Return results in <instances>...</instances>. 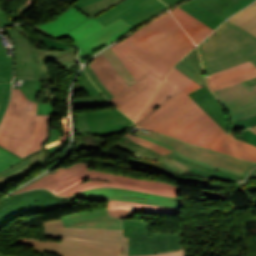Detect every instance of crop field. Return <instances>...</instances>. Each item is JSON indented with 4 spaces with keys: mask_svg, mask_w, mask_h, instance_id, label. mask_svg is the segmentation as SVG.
Returning a JSON list of instances; mask_svg holds the SVG:
<instances>
[{
    "mask_svg": "<svg viewBox=\"0 0 256 256\" xmlns=\"http://www.w3.org/2000/svg\"><path fill=\"white\" fill-rule=\"evenodd\" d=\"M167 79L178 85L175 92L138 124L209 148L224 131L187 95L201 86L175 67Z\"/></svg>",
    "mask_w": 256,
    "mask_h": 256,
    "instance_id": "8a807250",
    "label": "crop field"
},
{
    "mask_svg": "<svg viewBox=\"0 0 256 256\" xmlns=\"http://www.w3.org/2000/svg\"><path fill=\"white\" fill-rule=\"evenodd\" d=\"M96 187L125 188L171 197H178L180 192V187L176 185L92 171L89 170V164L78 163L67 169L60 167L15 193L33 188H49L57 195L69 196Z\"/></svg>",
    "mask_w": 256,
    "mask_h": 256,
    "instance_id": "ac0d7876",
    "label": "crop field"
},
{
    "mask_svg": "<svg viewBox=\"0 0 256 256\" xmlns=\"http://www.w3.org/2000/svg\"><path fill=\"white\" fill-rule=\"evenodd\" d=\"M44 235L63 238L61 243L17 238L14 242L34 246L59 256H127L128 238L121 230L63 227L61 220L43 223ZM145 256V255H139Z\"/></svg>",
    "mask_w": 256,
    "mask_h": 256,
    "instance_id": "34b2d1b8",
    "label": "crop field"
},
{
    "mask_svg": "<svg viewBox=\"0 0 256 256\" xmlns=\"http://www.w3.org/2000/svg\"><path fill=\"white\" fill-rule=\"evenodd\" d=\"M37 104L27 100L20 90L13 89L9 108L0 125V148L24 159L42 151L49 137L50 115H36Z\"/></svg>",
    "mask_w": 256,
    "mask_h": 256,
    "instance_id": "412701ff",
    "label": "crop field"
},
{
    "mask_svg": "<svg viewBox=\"0 0 256 256\" xmlns=\"http://www.w3.org/2000/svg\"><path fill=\"white\" fill-rule=\"evenodd\" d=\"M197 48L205 76L248 60L256 65V36L227 20ZM246 83L249 87L255 86L256 78Z\"/></svg>",
    "mask_w": 256,
    "mask_h": 256,
    "instance_id": "f4fd0767",
    "label": "crop field"
},
{
    "mask_svg": "<svg viewBox=\"0 0 256 256\" xmlns=\"http://www.w3.org/2000/svg\"><path fill=\"white\" fill-rule=\"evenodd\" d=\"M89 65L114 96L109 100L133 120L139 116L162 82L149 74L129 87L103 54Z\"/></svg>",
    "mask_w": 256,
    "mask_h": 256,
    "instance_id": "dd49c442",
    "label": "crop field"
},
{
    "mask_svg": "<svg viewBox=\"0 0 256 256\" xmlns=\"http://www.w3.org/2000/svg\"><path fill=\"white\" fill-rule=\"evenodd\" d=\"M134 36L146 50L171 65L195 47L170 12L137 31Z\"/></svg>",
    "mask_w": 256,
    "mask_h": 256,
    "instance_id": "e52e79f7",
    "label": "crop field"
},
{
    "mask_svg": "<svg viewBox=\"0 0 256 256\" xmlns=\"http://www.w3.org/2000/svg\"><path fill=\"white\" fill-rule=\"evenodd\" d=\"M14 43V62H37L41 80H52L45 62L51 60L58 64L59 68L69 70L70 67L76 64L77 49L74 46L65 45L39 36V41L50 49H65V52L48 51L38 48L34 45L28 34L21 26L15 25L3 29Z\"/></svg>",
    "mask_w": 256,
    "mask_h": 256,
    "instance_id": "d8731c3e",
    "label": "crop field"
},
{
    "mask_svg": "<svg viewBox=\"0 0 256 256\" xmlns=\"http://www.w3.org/2000/svg\"><path fill=\"white\" fill-rule=\"evenodd\" d=\"M135 135L166 146L174 150L173 152L183 159L224 172L247 175L252 168L256 167L255 163L240 161L235 158L212 152L197 146L189 145L178 139H174L162 134H156L142 128H140Z\"/></svg>",
    "mask_w": 256,
    "mask_h": 256,
    "instance_id": "5a996713",
    "label": "crop field"
},
{
    "mask_svg": "<svg viewBox=\"0 0 256 256\" xmlns=\"http://www.w3.org/2000/svg\"><path fill=\"white\" fill-rule=\"evenodd\" d=\"M72 198L58 197L49 190L35 189L0 201V227L22 216L65 206Z\"/></svg>",
    "mask_w": 256,
    "mask_h": 256,
    "instance_id": "3316defc",
    "label": "crop field"
},
{
    "mask_svg": "<svg viewBox=\"0 0 256 256\" xmlns=\"http://www.w3.org/2000/svg\"><path fill=\"white\" fill-rule=\"evenodd\" d=\"M123 236L129 237L128 255L182 250L179 234L149 233L148 223L142 220H123Z\"/></svg>",
    "mask_w": 256,
    "mask_h": 256,
    "instance_id": "28ad6ade",
    "label": "crop field"
},
{
    "mask_svg": "<svg viewBox=\"0 0 256 256\" xmlns=\"http://www.w3.org/2000/svg\"><path fill=\"white\" fill-rule=\"evenodd\" d=\"M36 27L43 29L57 40L71 37L76 43L86 35L104 26L95 18L89 19L71 6L55 20L39 24Z\"/></svg>",
    "mask_w": 256,
    "mask_h": 256,
    "instance_id": "d1516ede",
    "label": "crop field"
},
{
    "mask_svg": "<svg viewBox=\"0 0 256 256\" xmlns=\"http://www.w3.org/2000/svg\"><path fill=\"white\" fill-rule=\"evenodd\" d=\"M249 4L246 0H191L179 7L214 30Z\"/></svg>",
    "mask_w": 256,
    "mask_h": 256,
    "instance_id": "22f410ed",
    "label": "crop field"
},
{
    "mask_svg": "<svg viewBox=\"0 0 256 256\" xmlns=\"http://www.w3.org/2000/svg\"><path fill=\"white\" fill-rule=\"evenodd\" d=\"M71 197L90 199V200H119V201H132L142 202L158 205H167L180 207L182 202L179 198H170L157 196L153 194L134 192L125 189H114V188H96L79 192Z\"/></svg>",
    "mask_w": 256,
    "mask_h": 256,
    "instance_id": "cbeb9de0",
    "label": "crop field"
},
{
    "mask_svg": "<svg viewBox=\"0 0 256 256\" xmlns=\"http://www.w3.org/2000/svg\"><path fill=\"white\" fill-rule=\"evenodd\" d=\"M113 145L122 148L124 150L130 151L133 153L134 157L142 160H148L151 162H162L164 165H166L168 168L174 171H178L182 174L187 172L192 167L201 169L207 172H210L214 174L216 170L207 168L204 166L193 164L189 161L181 159L179 156L174 154L173 152L170 154H167L165 156H162L161 154L146 148L142 145H137L133 141H131L128 137L125 135L120 138L118 141H116Z\"/></svg>",
    "mask_w": 256,
    "mask_h": 256,
    "instance_id": "5142ce71",
    "label": "crop field"
},
{
    "mask_svg": "<svg viewBox=\"0 0 256 256\" xmlns=\"http://www.w3.org/2000/svg\"><path fill=\"white\" fill-rule=\"evenodd\" d=\"M133 29L134 27L120 18L112 24L83 38L81 41L75 44L80 48L79 60L81 61L92 55L100 48L108 45L110 42L118 39L121 35Z\"/></svg>",
    "mask_w": 256,
    "mask_h": 256,
    "instance_id": "d9b57169",
    "label": "crop field"
},
{
    "mask_svg": "<svg viewBox=\"0 0 256 256\" xmlns=\"http://www.w3.org/2000/svg\"><path fill=\"white\" fill-rule=\"evenodd\" d=\"M168 8L160 0H139L100 20V22L106 26L121 17L131 25L137 27Z\"/></svg>",
    "mask_w": 256,
    "mask_h": 256,
    "instance_id": "733c2abd",
    "label": "crop field"
},
{
    "mask_svg": "<svg viewBox=\"0 0 256 256\" xmlns=\"http://www.w3.org/2000/svg\"><path fill=\"white\" fill-rule=\"evenodd\" d=\"M89 127L95 135L119 134L133 122L119 110H104L87 113Z\"/></svg>",
    "mask_w": 256,
    "mask_h": 256,
    "instance_id": "4a817a6b",
    "label": "crop field"
},
{
    "mask_svg": "<svg viewBox=\"0 0 256 256\" xmlns=\"http://www.w3.org/2000/svg\"><path fill=\"white\" fill-rule=\"evenodd\" d=\"M64 226L121 229V221L110 218L107 208L61 216Z\"/></svg>",
    "mask_w": 256,
    "mask_h": 256,
    "instance_id": "bc2a9ffb",
    "label": "crop field"
},
{
    "mask_svg": "<svg viewBox=\"0 0 256 256\" xmlns=\"http://www.w3.org/2000/svg\"><path fill=\"white\" fill-rule=\"evenodd\" d=\"M226 112L256 102V87L251 89L244 82L213 91Z\"/></svg>",
    "mask_w": 256,
    "mask_h": 256,
    "instance_id": "214f88e0",
    "label": "crop field"
},
{
    "mask_svg": "<svg viewBox=\"0 0 256 256\" xmlns=\"http://www.w3.org/2000/svg\"><path fill=\"white\" fill-rule=\"evenodd\" d=\"M256 77V66L250 61L207 76L211 91Z\"/></svg>",
    "mask_w": 256,
    "mask_h": 256,
    "instance_id": "92a150f3",
    "label": "crop field"
},
{
    "mask_svg": "<svg viewBox=\"0 0 256 256\" xmlns=\"http://www.w3.org/2000/svg\"><path fill=\"white\" fill-rule=\"evenodd\" d=\"M117 56L124 63L126 68L131 72V74L138 80L139 78L151 73L161 79H164L167 75L156 67L146 63L137 55H135L124 43L123 41L115 46L111 47ZM140 80V79H139Z\"/></svg>",
    "mask_w": 256,
    "mask_h": 256,
    "instance_id": "dafd665d",
    "label": "crop field"
},
{
    "mask_svg": "<svg viewBox=\"0 0 256 256\" xmlns=\"http://www.w3.org/2000/svg\"><path fill=\"white\" fill-rule=\"evenodd\" d=\"M107 205L112 217H133L134 212L178 215L180 211V208L175 207L132 202L108 201Z\"/></svg>",
    "mask_w": 256,
    "mask_h": 256,
    "instance_id": "00972430",
    "label": "crop field"
},
{
    "mask_svg": "<svg viewBox=\"0 0 256 256\" xmlns=\"http://www.w3.org/2000/svg\"><path fill=\"white\" fill-rule=\"evenodd\" d=\"M189 96L197 102L200 107L205 111V113L213 119L223 130L230 133L228 121L225 112L221 105L218 103L217 99L209 90L208 86L204 88H199Z\"/></svg>",
    "mask_w": 256,
    "mask_h": 256,
    "instance_id": "a9b5d70f",
    "label": "crop field"
},
{
    "mask_svg": "<svg viewBox=\"0 0 256 256\" xmlns=\"http://www.w3.org/2000/svg\"><path fill=\"white\" fill-rule=\"evenodd\" d=\"M209 149L256 162V147L223 134Z\"/></svg>",
    "mask_w": 256,
    "mask_h": 256,
    "instance_id": "4177f3b9",
    "label": "crop field"
},
{
    "mask_svg": "<svg viewBox=\"0 0 256 256\" xmlns=\"http://www.w3.org/2000/svg\"><path fill=\"white\" fill-rule=\"evenodd\" d=\"M46 150L39 152L9 170L0 173V188L6 185L8 182L14 181L27 173L31 172L37 165L45 162Z\"/></svg>",
    "mask_w": 256,
    "mask_h": 256,
    "instance_id": "730fd06b",
    "label": "crop field"
},
{
    "mask_svg": "<svg viewBox=\"0 0 256 256\" xmlns=\"http://www.w3.org/2000/svg\"><path fill=\"white\" fill-rule=\"evenodd\" d=\"M171 12L196 44L202 41L209 33L213 31L205 24L188 15L178 7L171 10Z\"/></svg>",
    "mask_w": 256,
    "mask_h": 256,
    "instance_id": "eef30255",
    "label": "crop field"
},
{
    "mask_svg": "<svg viewBox=\"0 0 256 256\" xmlns=\"http://www.w3.org/2000/svg\"><path fill=\"white\" fill-rule=\"evenodd\" d=\"M175 67L188 75L202 87L207 85L204 80L202 67L196 48L192 50L183 60L178 62Z\"/></svg>",
    "mask_w": 256,
    "mask_h": 256,
    "instance_id": "ae1a2a85",
    "label": "crop field"
},
{
    "mask_svg": "<svg viewBox=\"0 0 256 256\" xmlns=\"http://www.w3.org/2000/svg\"><path fill=\"white\" fill-rule=\"evenodd\" d=\"M124 43L135 53L137 54L139 57H141L143 60H145L146 62L158 67L159 69L165 71V72H169V70L173 67L163 61H161L160 59H158L156 56L150 54L149 52H147L141 45L140 43L137 41V39L132 35H130L129 37H127L125 40H123Z\"/></svg>",
    "mask_w": 256,
    "mask_h": 256,
    "instance_id": "d3111659",
    "label": "crop field"
},
{
    "mask_svg": "<svg viewBox=\"0 0 256 256\" xmlns=\"http://www.w3.org/2000/svg\"><path fill=\"white\" fill-rule=\"evenodd\" d=\"M42 87H43V82L42 81L26 80V87H13V88H20V90L26 96L27 99L36 102L34 100V98L39 96V94L35 93V91L42 92ZM56 112L57 111L54 109L52 104L38 103L37 114H50V115H53Z\"/></svg>",
    "mask_w": 256,
    "mask_h": 256,
    "instance_id": "750c4746",
    "label": "crop field"
},
{
    "mask_svg": "<svg viewBox=\"0 0 256 256\" xmlns=\"http://www.w3.org/2000/svg\"><path fill=\"white\" fill-rule=\"evenodd\" d=\"M227 20L256 35V2Z\"/></svg>",
    "mask_w": 256,
    "mask_h": 256,
    "instance_id": "bd1437ed",
    "label": "crop field"
},
{
    "mask_svg": "<svg viewBox=\"0 0 256 256\" xmlns=\"http://www.w3.org/2000/svg\"><path fill=\"white\" fill-rule=\"evenodd\" d=\"M177 85L169 80H165L154 98L152 99L149 106L144 110V112L137 119L136 123L145 118L149 113L156 109L163 101H165L175 90Z\"/></svg>",
    "mask_w": 256,
    "mask_h": 256,
    "instance_id": "1d83c4d3",
    "label": "crop field"
},
{
    "mask_svg": "<svg viewBox=\"0 0 256 256\" xmlns=\"http://www.w3.org/2000/svg\"><path fill=\"white\" fill-rule=\"evenodd\" d=\"M106 58L110 61V63L115 67L118 73L123 77V79L128 83L130 86L136 80L134 77L129 73V71L125 68L122 64L120 59L116 56V54L110 49L103 52Z\"/></svg>",
    "mask_w": 256,
    "mask_h": 256,
    "instance_id": "120bbe31",
    "label": "crop field"
},
{
    "mask_svg": "<svg viewBox=\"0 0 256 256\" xmlns=\"http://www.w3.org/2000/svg\"><path fill=\"white\" fill-rule=\"evenodd\" d=\"M3 81H12V57L6 55L0 43V82Z\"/></svg>",
    "mask_w": 256,
    "mask_h": 256,
    "instance_id": "d32e631a",
    "label": "crop field"
},
{
    "mask_svg": "<svg viewBox=\"0 0 256 256\" xmlns=\"http://www.w3.org/2000/svg\"><path fill=\"white\" fill-rule=\"evenodd\" d=\"M99 106H111V103L108 102L104 96L85 97V98L74 99L75 109L99 107Z\"/></svg>",
    "mask_w": 256,
    "mask_h": 256,
    "instance_id": "5866460e",
    "label": "crop field"
},
{
    "mask_svg": "<svg viewBox=\"0 0 256 256\" xmlns=\"http://www.w3.org/2000/svg\"><path fill=\"white\" fill-rule=\"evenodd\" d=\"M120 1L122 0H102L85 8H82L80 9V11L87 15L89 18H93L94 16L98 15L109 7L119 3Z\"/></svg>",
    "mask_w": 256,
    "mask_h": 256,
    "instance_id": "028f5c9d",
    "label": "crop field"
},
{
    "mask_svg": "<svg viewBox=\"0 0 256 256\" xmlns=\"http://www.w3.org/2000/svg\"><path fill=\"white\" fill-rule=\"evenodd\" d=\"M50 141L45 144V149L50 152V155L46 156V160H48L52 155H54L57 151H59L62 145L66 142H61L62 134L58 131L57 128L50 130ZM64 146V145H63Z\"/></svg>",
    "mask_w": 256,
    "mask_h": 256,
    "instance_id": "e1f06a70",
    "label": "crop field"
},
{
    "mask_svg": "<svg viewBox=\"0 0 256 256\" xmlns=\"http://www.w3.org/2000/svg\"><path fill=\"white\" fill-rule=\"evenodd\" d=\"M15 77H38V67L36 63L15 64Z\"/></svg>",
    "mask_w": 256,
    "mask_h": 256,
    "instance_id": "0bd39190",
    "label": "crop field"
},
{
    "mask_svg": "<svg viewBox=\"0 0 256 256\" xmlns=\"http://www.w3.org/2000/svg\"><path fill=\"white\" fill-rule=\"evenodd\" d=\"M255 114H256V103L242 107L240 109H237L228 113L231 123L241 120L243 118H248Z\"/></svg>",
    "mask_w": 256,
    "mask_h": 256,
    "instance_id": "b80d0937",
    "label": "crop field"
},
{
    "mask_svg": "<svg viewBox=\"0 0 256 256\" xmlns=\"http://www.w3.org/2000/svg\"><path fill=\"white\" fill-rule=\"evenodd\" d=\"M11 83L0 84V121L10 100Z\"/></svg>",
    "mask_w": 256,
    "mask_h": 256,
    "instance_id": "c035e120",
    "label": "crop field"
},
{
    "mask_svg": "<svg viewBox=\"0 0 256 256\" xmlns=\"http://www.w3.org/2000/svg\"><path fill=\"white\" fill-rule=\"evenodd\" d=\"M130 139H132L134 142L138 143V144H142L144 146H147L163 155L167 154V153H170L172 152V150L166 148V147H163V146H160L158 144H155L149 140H146V139H143V138H140V137H137V136H133L131 135L130 133L128 135Z\"/></svg>",
    "mask_w": 256,
    "mask_h": 256,
    "instance_id": "c21b1889",
    "label": "crop field"
},
{
    "mask_svg": "<svg viewBox=\"0 0 256 256\" xmlns=\"http://www.w3.org/2000/svg\"><path fill=\"white\" fill-rule=\"evenodd\" d=\"M21 160L0 149V172L14 166Z\"/></svg>",
    "mask_w": 256,
    "mask_h": 256,
    "instance_id": "03da06ac",
    "label": "crop field"
},
{
    "mask_svg": "<svg viewBox=\"0 0 256 256\" xmlns=\"http://www.w3.org/2000/svg\"><path fill=\"white\" fill-rule=\"evenodd\" d=\"M79 85L85 90L89 96L102 95L95 86L89 81L87 75L82 71L79 79L77 80Z\"/></svg>",
    "mask_w": 256,
    "mask_h": 256,
    "instance_id": "b54c1fbb",
    "label": "crop field"
},
{
    "mask_svg": "<svg viewBox=\"0 0 256 256\" xmlns=\"http://www.w3.org/2000/svg\"><path fill=\"white\" fill-rule=\"evenodd\" d=\"M191 170H193V171H195L199 174L208 176V177H212V178L220 179V180H226V181H230V182H236L235 177L242 178V179L246 178V176H239V175H234V174H229V173H223V172H220V171H216V173L214 175H212V174H209L207 172L197 170V169H194V168H192Z\"/></svg>",
    "mask_w": 256,
    "mask_h": 256,
    "instance_id": "5d738f31",
    "label": "crop field"
},
{
    "mask_svg": "<svg viewBox=\"0 0 256 256\" xmlns=\"http://www.w3.org/2000/svg\"><path fill=\"white\" fill-rule=\"evenodd\" d=\"M77 131L81 136L94 135L88 127L86 113L76 114Z\"/></svg>",
    "mask_w": 256,
    "mask_h": 256,
    "instance_id": "d23c7cc5",
    "label": "crop field"
},
{
    "mask_svg": "<svg viewBox=\"0 0 256 256\" xmlns=\"http://www.w3.org/2000/svg\"><path fill=\"white\" fill-rule=\"evenodd\" d=\"M255 124H256V115L251 118L244 119V120H241V121L231 124V130H232V132L240 131V130H244L248 127H251Z\"/></svg>",
    "mask_w": 256,
    "mask_h": 256,
    "instance_id": "425ffa30",
    "label": "crop field"
},
{
    "mask_svg": "<svg viewBox=\"0 0 256 256\" xmlns=\"http://www.w3.org/2000/svg\"><path fill=\"white\" fill-rule=\"evenodd\" d=\"M134 1H136V0H124V1L120 2L119 4H117V5L109 8L108 10L104 11L103 13L99 14L95 18L97 20L102 19V18H104V17H106V16L124 8L125 6L129 5L130 3L134 2Z\"/></svg>",
    "mask_w": 256,
    "mask_h": 256,
    "instance_id": "25e5ab78",
    "label": "crop field"
},
{
    "mask_svg": "<svg viewBox=\"0 0 256 256\" xmlns=\"http://www.w3.org/2000/svg\"><path fill=\"white\" fill-rule=\"evenodd\" d=\"M88 74V76L90 77V79L92 80V82L109 98L113 97L105 88L104 86L101 84V82L98 80V78L96 77V75L94 74L93 70L90 68V66L88 65L86 68H84Z\"/></svg>",
    "mask_w": 256,
    "mask_h": 256,
    "instance_id": "73cf0c24",
    "label": "crop field"
},
{
    "mask_svg": "<svg viewBox=\"0 0 256 256\" xmlns=\"http://www.w3.org/2000/svg\"><path fill=\"white\" fill-rule=\"evenodd\" d=\"M241 137L248 141L249 143L255 144L256 145V134L252 132L251 130H246L242 132Z\"/></svg>",
    "mask_w": 256,
    "mask_h": 256,
    "instance_id": "89e229c0",
    "label": "crop field"
},
{
    "mask_svg": "<svg viewBox=\"0 0 256 256\" xmlns=\"http://www.w3.org/2000/svg\"><path fill=\"white\" fill-rule=\"evenodd\" d=\"M10 24H15V23L11 21L9 17L6 16L3 10L0 8V27L3 28Z\"/></svg>",
    "mask_w": 256,
    "mask_h": 256,
    "instance_id": "1f2cbd36",
    "label": "crop field"
},
{
    "mask_svg": "<svg viewBox=\"0 0 256 256\" xmlns=\"http://www.w3.org/2000/svg\"><path fill=\"white\" fill-rule=\"evenodd\" d=\"M97 1H100V0H77L76 2H74L73 6L76 7L77 9H80L82 7L95 3Z\"/></svg>",
    "mask_w": 256,
    "mask_h": 256,
    "instance_id": "dbb93151",
    "label": "crop field"
},
{
    "mask_svg": "<svg viewBox=\"0 0 256 256\" xmlns=\"http://www.w3.org/2000/svg\"><path fill=\"white\" fill-rule=\"evenodd\" d=\"M146 256H183V251L172 252V253H160V254L146 255Z\"/></svg>",
    "mask_w": 256,
    "mask_h": 256,
    "instance_id": "0fb4a251",
    "label": "crop field"
},
{
    "mask_svg": "<svg viewBox=\"0 0 256 256\" xmlns=\"http://www.w3.org/2000/svg\"><path fill=\"white\" fill-rule=\"evenodd\" d=\"M162 1V0H161ZM168 6H172V5H174V4H176V3H178V2H180V1H182V0H163Z\"/></svg>",
    "mask_w": 256,
    "mask_h": 256,
    "instance_id": "1d79db26",
    "label": "crop field"
},
{
    "mask_svg": "<svg viewBox=\"0 0 256 256\" xmlns=\"http://www.w3.org/2000/svg\"><path fill=\"white\" fill-rule=\"evenodd\" d=\"M250 178H256V169H254V170L251 172V174L249 175V177L247 178V180L250 179Z\"/></svg>",
    "mask_w": 256,
    "mask_h": 256,
    "instance_id": "9d1cf04e",
    "label": "crop field"
},
{
    "mask_svg": "<svg viewBox=\"0 0 256 256\" xmlns=\"http://www.w3.org/2000/svg\"><path fill=\"white\" fill-rule=\"evenodd\" d=\"M250 129L256 133V126Z\"/></svg>",
    "mask_w": 256,
    "mask_h": 256,
    "instance_id": "447ae74e",
    "label": "crop field"
},
{
    "mask_svg": "<svg viewBox=\"0 0 256 256\" xmlns=\"http://www.w3.org/2000/svg\"><path fill=\"white\" fill-rule=\"evenodd\" d=\"M250 3H252L253 1H255V0H248Z\"/></svg>",
    "mask_w": 256,
    "mask_h": 256,
    "instance_id": "0765c3eb",
    "label": "crop field"
},
{
    "mask_svg": "<svg viewBox=\"0 0 256 256\" xmlns=\"http://www.w3.org/2000/svg\"><path fill=\"white\" fill-rule=\"evenodd\" d=\"M0 256H7V255H2V254H0Z\"/></svg>",
    "mask_w": 256,
    "mask_h": 256,
    "instance_id": "db79e9e6",
    "label": "crop field"
}]
</instances>
